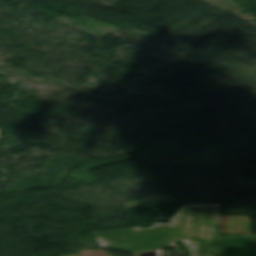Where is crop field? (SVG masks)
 <instances>
[{
    "instance_id": "1",
    "label": "crop field",
    "mask_w": 256,
    "mask_h": 256,
    "mask_svg": "<svg viewBox=\"0 0 256 256\" xmlns=\"http://www.w3.org/2000/svg\"><path fill=\"white\" fill-rule=\"evenodd\" d=\"M220 205H183L171 223L155 222L147 229L129 228L95 232L102 246L128 252L172 247V241L181 239L193 253L192 256H216L218 223L198 222V207Z\"/></svg>"
},
{
    "instance_id": "2",
    "label": "crop field",
    "mask_w": 256,
    "mask_h": 256,
    "mask_svg": "<svg viewBox=\"0 0 256 256\" xmlns=\"http://www.w3.org/2000/svg\"><path fill=\"white\" fill-rule=\"evenodd\" d=\"M217 256H256V235H219Z\"/></svg>"
},
{
    "instance_id": "3",
    "label": "crop field",
    "mask_w": 256,
    "mask_h": 256,
    "mask_svg": "<svg viewBox=\"0 0 256 256\" xmlns=\"http://www.w3.org/2000/svg\"><path fill=\"white\" fill-rule=\"evenodd\" d=\"M220 216L219 233H249L250 219L244 217Z\"/></svg>"
},
{
    "instance_id": "4",
    "label": "crop field",
    "mask_w": 256,
    "mask_h": 256,
    "mask_svg": "<svg viewBox=\"0 0 256 256\" xmlns=\"http://www.w3.org/2000/svg\"><path fill=\"white\" fill-rule=\"evenodd\" d=\"M219 208H199V221L218 222Z\"/></svg>"
}]
</instances>
